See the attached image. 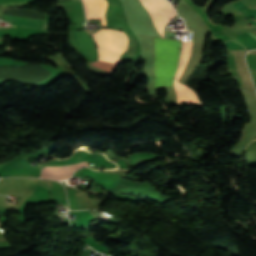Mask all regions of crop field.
Returning <instances> with one entry per match:
<instances>
[{
	"instance_id": "obj_1",
	"label": "crop field",
	"mask_w": 256,
	"mask_h": 256,
	"mask_svg": "<svg viewBox=\"0 0 256 256\" xmlns=\"http://www.w3.org/2000/svg\"><path fill=\"white\" fill-rule=\"evenodd\" d=\"M155 44V71L157 80L155 88L173 86L178 56V41L154 38ZM156 78L149 77L148 89H154Z\"/></svg>"
},
{
	"instance_id": "obj_2",
	"label": "crop field",
	"mask_w": 256,
	"mask_h": 256,
	"mask_svg": "<svg viewBox=\"0 0 256 256\" xmlns=\"http://www.w3.org/2000/svg\"><path fill=\"white\" fill-rule=\"evenodd\" d=\"M92 35L98 47V60L118 64L121 54L127 47V35L124 32L109 29H100Z\"/></svg>"
},
{
	"instance_id": "obj_3",
	"label": "crop field",
	"mask_w": 256,
	"mask_h": 256,
	"mask_svg": "<svg viewBox=\"0 0 256 256\" xmlns=\"http://www.w3.org/2000/svg\"><path fill=\"white\" fill-rule=\"evenodd\" d=\"M84 166H87L86 162L70 165V166L44 167L42 169L41 178L64 180L69 178L76 169Z\"/></svg>"
},
{
	"instance_id": "obj_4",
	"label": "crop field",
	"mask_w": 256,
	"mask_h": 256,
	"mask_svg": "<svg viewBox=\"0 0 256 256\" xmlns=\"http://www.w3.org/2000/svg\"><path fill=\"white\" fill-rule=\"evenodd\" d=\"M87 19H100L101 25L106 27V0H83Z\"/></svg>"
},
{
	"instance_id": "obj_5",
	"label": "crop field",
	"mask_w": 256,
	"mask_h": 256,
	"mask_svg": "<svg viewBox=\"0 0 256 256\" xmlns=\"http://www.w3.org/2000/svg\"><path fill=\"white\" fill-rule=\"evenodd\" d=\"M231 52L235 60L237 71L242 79L241 86L254 90L247 67H246V63L244 60V54L246 51H231Z\"/></svg>"
},
{
	"instance_id": "obj_6",
	"label": "crop field",
	"mask_w": 256,
	"mask_h": 256,
	"mask_svg": "<svg viewBox=\"0 0 256 256\" xmlns=\"http://www.w3.org/2000/svg\"><path fill=\"white\" fill-rule=\"evenodd\" d=\"M3 16L5 17L7 22H9L10 24L32 26V27L45 29L46 22H43V21L30 20V19H24V18H18V17L5 16V15Z\"/></svg>"
},
{
	"instance_id": "obj_7",
	"label": "crop field",
	"mask_w": 256,
	"mask_h": 256,
	"mask_svg": "<svg viewBox=\"0 0 256 256\" xmlns=\"http://www.w3.org/2000/svg\"><path fill=\"white\" fill-rule=\"evenodd\" d=\"M232 5L239 11L243 12L247 18L255 17L256 20V9L250 10L242 1H237Z\"/></svg>"
},
{
	"instance_id": "obj_8",
	"label": "crop field",
	"mask_w": 256,
	"mask_h": 256,
	"mask_svg": "<svg viewBox=\"0 0 256 256\" xmlns=\"http://www.w3.org/2000/svg\"><path fill=\"white\" fill-rule=\"evenodd\" d=\"M93 65L102 68L110 73H112L113 69L115 68L116 65L114 64H110V63H103V62H97V63H93Z\"/></svg>"
},
{
	"instance_id": "obj_9",
	"label": "crop field",
	"mask_w": 256,
	"mask_h": 256,
	"mask_svg": "<svg viewBox=\"0 0 256 256\" xmlns=\"http://www.w3.org/2000/svg\"><path fill=\"white\" fill-rule=\"evenodd\" d=\"M250 35H252L255 39H256V35H254V34H252V33H250V32H248Z\"/></svg>"
}]
</instances>
